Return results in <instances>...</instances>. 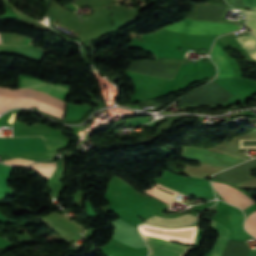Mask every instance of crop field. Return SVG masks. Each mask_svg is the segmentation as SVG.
<instances>
[{
    "label": "crop field",
    "instance_id": "obj_1",
    "mask_svg": "<svg viewBox=\"0 0 256 256\" xmlns=\"http://www.w3.org/2000/svg\"><path fill=\"white\" fill-rule=\"evenodd\" d=\"M240 26L227 23L199 22L183 19L175 24L164 26L168 30L194 34H216L238 29Z\"/></svg>",
    "mask_w": 256,
    "mask_h": 256
},
{
    "label": "crop field",
    "instance_id": "obj_2",
    "mask_svg": "<svg viewBox=\"0 0 256 256\" xmlns=\"http://www.w3.org/2000/svg\"><path fill=\"white\" fill-rule=\"evenodd\" d=\"M184 156L185 158L200 160L204 163L211 164L224 169H227L231 166H234L244 161L222 154H218L212 151L194 147H184Z\"/></svg>",
    "mask_w": 256,
    "mask_h": 256
},
{
    "label": "crop field",
    "instance_id": "obj_3",
    "mask_svg": "<svg viewBox=\"0 0 256 256\" xmlns=\"http://www.w3.org/2000/svg\"><path fill=\"white\" fill-rule=\"evenodd\" d=\"M143 237L150 247L149 256H184L192 248L147 235H143Z\"/></svg>",
    "mask_w": 256,
    "mask_h": 256
},
{
    "label": "crop field",
    "instance_id": "obj_4",
    "mask_svg": "<svg viewBox=\"0 0 256 256\" xmlns=\"http://www.w3.org/2000/svg\"><path fill=\"white\" fill-rule=\"evenodd\" d=\"M112 223L115 227L113 238L134 248L145 246L135 227L122 220L114 221Z\"/></svg>",
    "mask_w": 256,
    "mask_h": 256
},
{
    "label": "crop field",
    "instance_id": "obj_5",
    "mask_svg": "<svg viewBox=\"0 0 256 256\" xmlns=\"http://www.w3.org/2000/svg\"><path fill=\"white\" fill-rule=\"evenodd\" d=\"M0 101H5V102H27V103H34V104H38V105H42L44 107H47L49 109L55 110L57 112L60 113H64V109L34 100V99H12V98H6V97H0ZM5 102H0V113H2L3 111L11 108V107H17V106H22V107H28V108H32V107H36L39 110L57 116V117H61L62 118V114L57 113L55 111L49 110L47 108H44L42 106H38V105H34V104H26V103H5Z\"/></svg>",
    "mask_w": 256,
    "mask_h": 256
},
{
    "label": "crop field",
    "instance_id": "obj_6",
    "mask_svg": "<svg viewBox=\"0 0 256 256\" xmlns=\"http://www.w3.org/2000/svg\"><path fill=\"white\" fill-rule=\"evenodd\" d=\"M213 185L225 201L230 202L240 207L241 209H245L255 203L246 195L242 194L241 192L229 185L217 182H213Z\"/></svg>",
    "mask_w": 256,
    "mask_h": 256
},
{
    "label": "crop field",
    "instance_id": "obj_7",
    "mask_svg": "<svg viewBox=\"0 0 256 256\" xmlns=\"http://www.w3.org/2000/svg\"><path fill=\"white\" fill-rule=\"evenodd\" d=\"M211 57L219 70V74L217 78L233 76L231 65L228 63L227 59L223 55L221 47L215 44L212 50Z\"/></svg>",
    "mask_w": 256,
    "mask_h": 256
},
{
    "label": "crop field",
    "instance_id": "obj_8",
    "mask_svg": "<svg viewBox=\"0 0 256 256\" xmlns=\"http://www.w3.org/2000/svg\"><path fill=\"white\" fill-rule=\"evenodd\" d=\"M194 217L195 216H193L191 214H187L182 217H178V218H174V219L153 216V217L147 219L145 222L160 225L163 227H181V226H185V225H188L189 223H191L193 221Z\"/></svg>",
    "mask_w": 256,
    "mask_h": 256
},
{
    "label": "crop field",
    "instance_id": "obj_9",
    "mask_svg": "<svg viewBox=\"0 0 256 256\" xmlns=\"http://www.w3.org/2000/svg\"><path fill=\"white\" fill-rule=\"evenodd\" d=\"M211 228L218 231L220 236L213 248L211 256H220L229 238V229L225 228L221 224L212 221Z\"/></svg>",
    "mask_w": 256,
    "mask_h": 256
},
{
    "label": "crop field",
    "instance_id": "obj_10",
    "mask_svg": "<svg viewBox=\"0 0 256 256\" xmlns=\"http://www.w3.org/2000/svg\"><path fill=\"white\" fill-rule=\"evenodd\" d=\"M247 252L245 242L229 240L222 256H247Z\"/></svg>",
    "mask_w": 256,
    "mask_h": 256
},
{
    "label": "crop field",
    "instance_id": "obj_11",
    "mask_svg": "<svg viewBox=\"0 0 256 256\" xmlns=\"http://www.w3.org/2000/svg\"><path fill=\"white\" fill-rule=\"evenodd\" d=\"M247 7L252 10H256V0H245ZM247 16L245 26L251 30L253 34L256 35V11H246L241 10Z\"/></svg>",
    "mask_w": 256,
    "mask_h": 256
},
{
    "label": "crop field",
    "instance_id": "obj_12",
    "mask_svg": "<svg viewBox=\"0 0 256 256\" xmlns=\"http://www.w3.org/2000/svg\"><path fill=\"white\" fill-rule=\"evenodd\" d=\"M55 167H56L55 163H48V164L37 163V164L27 166L26 168L32 169V170L36 171L37 173H39L41 175V177L49 179V177L53 173Z\"/></svg>",
    "mask_w": 256,
    "mask_h": 256
},
{
    "label": "crop field",
    "instance_id": "obj_13",
    "mask_svg": "<svg viewBox=\"0 0 256 256\" xmlns=\"http://www.w3.org/2000/svg\"><path fill=\"white\" fill-rule=\"evenodd\" d=\"M248 53L256 59V38L250 34L236 38Z\"/></svg>",
    "mask_w": 256,
    "mask_h": 256
},
{
    "label": "crop field",
    "instance_id": "obj_14",
    "mask_svg": "<svg viewBox=\"0 0 256 256\" xmlns=\"http://www.w3.org/2000/svg\"><path fill=\"white\" fill-rule=\"evenodd\" d=\"M11 169L12 167L10 166H4L0 164V191L9 189L6 185V182L11 175Z\"/></svg>",
    "mask_w": 256,
    "mask_h": 256
},
{
    "label": "crop field",
    "instance_id": "obj_15",
    "mask_svg": "<svg viewBox=\"0 0 256 256\" xmlns=\"http://www.w3.org/2000/svg\"><path fill=\"white\" fill-rule=\"evenodd\" d=\"M246 230L256 236V211L251 213L245 222Z\"/></svg>",
    "mask_w": 256,
    "mask_h": 256
},
{
    "label": "crop field",
    "instance_id": "obj_16",
    "mask_svg": "<svg viewBox=\"0 0 256 256\" xmlns=\"http://www.w3.org/2000/svg\"><path fill=\"white\" fill-rule=\"evenodd\" d=\"M83 111V106L69 105L65 117L80 118Z\"/></svg>",
    "mask_w": 256,
    "mask_h": 256
},
{
    "label": "crop field",
    "instance_id": "obj_17",
    "mask_svg": "<svg viewBox=\"0 0 256 256\" xmlns=\"http://www.w3.org/2000/svg\"><path fill=\"white\" fill-rule=\"evenodd\" d=\"M34 161L24 160V159H8L4 160L3 163L9 165H17V166H26Z\"/></svg>",
    "mask_w": 256,
    "mask_h": 256
},
{
    "label": "crop field",
    "instance_id": "obj_18",
    "mask_svg": "<svg viewBox=\"0 0 256 256\" xmlns=\"http://www.w3.org/2000/svg\"><path fill=\"white\" fill-rule=\"evenodd\" d=\"M166 203V202H165ZM168 204V203H167Z\"/></svg>",
    "mask_w": 256,
    "mask_h": 256
}]
</instances>
